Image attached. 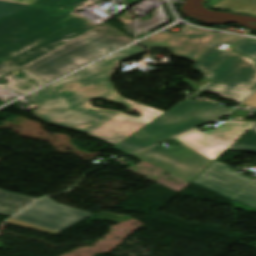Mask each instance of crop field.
<instances>
[{
    "instance_id": "24",
    "label": "crop field",
    "mask_w": 256,
    "mask_h": 256,
    "mask_svg": "<svg viewBox=\"0 0 256 256\" xmlns=\"http://www.w3.org/2000/svg\"><path fill=\"white\" fill-rule=\"evenodd\" d=\"M219 1H221V0H211L209 3H207L206 6H209V7H210V6L216 4V3L219 2Z\"/></svg>"
},
{
    "instance_id": "14",
    "label": "crop field",
    "mask_w": 256,
    "mask_h": 256,
    "mask_svg": "<svg viewBox=\"0 0 256 256\" xmlns=\"http://www.w3.org/2000/svg\"><path fill=\"white\" fill-rule=\"evenodd\" d=\"M229 149L256 153V125L247 134L236 141Z\"/></svg>"
},
{
    "instance_id": "23",
    "label": "crop field",
    "mask_w": 256,
    "mask_h": 256,
    "mask_svg": "<svg viewBox=\"0 0 256 256\" xmlns=\"http://www.w3.org/2000/svg\"><path fill=\"white\" fill-rule=\"evenodd\" d=\"M8 1L20 2V3H25V4L31 5V3H32L34 0H8Z\"/></svg>"
},
{
    "instance_id": "13",
    "label": "crop field",
    "mask_w": 256,
    "mask_h": 256,
    "mask_svg": "<svg viewBox=\"0 0 256 256\" xmlns=\"http://www.w3.org/2000/svg\"><path fill=\"white\" fill-rule=\"evenodd\" d=\"M212 7L256 15V0H223Z\"/></svg>"
},
{
    "instance_id": "11",
    "label": "crop field",
    "mask_w": 256,
    "mask_h": 256,
    "mask_svg": "<svg viewBox=\"0 0 256 256\" xmlns=\"http://www.w3.org/2000/svg\"><path fill=\"white\" fill-rule=\"evenodd\" d=\"M94 28L96 27L93 23L82 18L81 20L27 48L26 50L12 56L10 59L23 67L40 56L64 45L65 43Z\"/></svg>"
},
{
    "instance_id": "19",
    "label": "crop field",
    "mask_w": 256,
    "mask_h": 256,
    "mask_svg": "<svg viewBox=\"0 0 256 256\" xmlns=\"http://www.w3.org/2000/svg\"><path fill=\"white\" fill-rule=\"evenodd\" d=\"M21 68L15 62L0 53V76Z\"/></svg>"
},
{
    "instance_id": "7",
    "label": "crop field",
    "mask_w": 256,
    "mask_h": 256,
    "mask_svg": "<svg viewBox=\"0 0 256 256\" xmlns=\"http://www.w3.org/2000/svg\"><path fill=\"white\" fill-rule=\"evenodd\" d=\"M133 156L159 166L186 182L191 181L212 162L181 144L170 149L158 145Z\"/></svg>"
},
{
    "instance_id": "15",
    "label": "crop field",
    "mask_w": 256,
    "mask_h": 256,
    "mask_svg": "<svg viewBox=\"0 0 256 256\" xmlns=\"http://www.w3.org/2000/svg\"><path fill=\"white\" fill-rule=\"evenodd\" d=\"M236 52L256 59V41H245L238 43L236 45Z\"/></svg>"
},
{
    "instance_id": "9",
    "label": "crop field",
    "mask_w": 256,
    "mask_h": 256,
    "mask_svg": "<svg viewBox=\"0 0 256 256\" xmlns=\"http://www.w3.org/2000/svg\"><path fill=\"white\" fill-rule=\"evenodd\" d=\"M91 215L45 198L30 205L13 219L61 232Z\"/></svg>"
},
{
    "instance_id": "17",
    "label": "crop field",
    "mask_w": 256,
    "mask_h": 256,
    "mask_svg": "<svg viewBox=\"0 0 256 256\" xmlns=\"http://www.w3.org/2000/svg\"><path fill=\"white\" fill-rule=\"evenodd\" d=\"M0 199H4V200H8V201L26 205L29 202L33 201L35 198L22 196V195L14 194V193L7 192L4 190H0Z\"/></svg>"
},
{
    "instance_id": "6",
    "label": "crop field",
    "mask_w": 256,
    "mask_h": 256,
    "mask_svg": "<svg viewBox=\"0 0 256 256\" xmlns=\"http://www.w3.org/2000/svg\"><path fill=\"white\" fill-rule=\"evenodd\" d=\"M192 183L256 208V180L235 172L224 163L215 161Z\"/></svg>"
},
{
    "instance_id": "18",
    "label": "crop field",
    "mask_w": 256,
    "mask_h": 256,
    "mask_svg": "<svg viewBox=\"0 0 256 256\" xmlns=\"http://www.w3.org/2000/svg\"><path fill=\"white\" fill-rule=\"evenodd\" d=\"M23 207V205L0 200V215L9 217L21 210Z\"/></svg>"
},
{
    "instance_id": "3",
    "label": "crop field",
    "mask_w": 256,
    "mask_h": 256,
    "mask_svg": "<svg viewBox=\"0 0 256 256\" xmlns=\"http://www.w3.org/2000/svg\"><path fill=\"white\" fill-rule=\"evenodd\" d=\"M251 39L223 34L222 43L230 44L223 51L216 49L220 44V33H216L193 68L211 81L194 92L201 95L208 91L240 103L256 89V65L250 58L230 51L238 40Z\"/></svg>"
},
{
    "instance_id": "8",
    "label": "crop field",
    "mask_w": 256,
    "mask_h": 256,
    "mask_svg": "<svg viewBox=\"0 0 256 256\" xmlns=\"http://www.w3.org/2000/svg\"><path fill=\"white\" fill-rule=\"evenodd\" d=\"M255 124L243 121H225L219 125L221 127L217 130L210 129L207 133H203L200 130L205 128L195 129L173 139L213 161ZM227 125L230 127H226Z\"/></svg>"
},
{
    "instance_id": "1",
    "label": "crop field",
    "mask_w": 256,
    "mask_h": 256,
    "mask_svg": "<svg viewBox=\"0 0 256 256\" xmlns=\"http://www.w3.org/2000/svg\"><path fill=\"white\" fill-rule=\"evenodd\" d=\"M142 52L145 51L133 45L27 96L41 105L32 113L51 125L88 132L116 145L163 113L119 97L108 81L119 61ZM93 99H109L137 110L142 116L135 118L121 112L93 108L89 104Z\"/></svg>"
},
{
    "instance_id": "21",
    "label": "crop field",
    "mask_w": 256,
    "mask_h": 256,
    "mask_svg": "<svg viewBox=\"0 0 256 256\" xmlns=\"http://www.w3.org/2000/svg\"><path fill=\"white\" fill-rule=\"evenodd\" d=\"M209 81L210 80L203 77L198 83H195V82H192V81H189V80H183L181 82L186 83V84L192 86L195 89H198Z\"/></svg>"
},
{
    "instance_id": "10",
    "label": "crop field",
    "mask_w": 256,
    "mask_h": 256,
    "mask_svg": "<svg viewBox=\"0 0 256 256\" xmlns=\"http://www.w3.org/2000/svg\"><path fill=\"white\" fill-rule=\"evenodd\" d=\"M214 35V32L183 25L176 35L160 32L138 44L147 49L167 47L177 55L196 61Z\"/></svg>"
},
{
    "instance_id": "20",
    "label": "crop field",
    "mask_w": 256,
    "mask_h": 256,
    "mask_svg": "<svg viewBox=\"0 0 256 256\" xmlns=\"http://www.w3.org/2000/svg\"><path fill=\"white\" fill-rule=\"evenodd\" d=\"M6 224L25 227V228H29V229H33V230L53 234V235H56L58 233V232H55V231H52V230H48V229H45V228H42V227H38V226L31 225V224L23 223V222L16 221V220H13V219L9 220Z\"/></svg>"
},
{
    "instance_id": "5",
    "label": "crop field",
    "mask_w": 256,
    "mask_h": 256,
    "mask_svg": "<svg viewBox=\"0 0 256 256\" xmlns=\"http://www.w3.org/2000/svg\"><path fill=\"white\" fill-rule=\"evenodd\" d=\"M217 104L212 101L201 102L185 99L128 139H124L125 141L116 145L115 148L131 154L231 112V109Z\"/></svg>"
},
{
    "instance_id": "12",
    "label": "crop field",
    "mask_w": 256,
    "mask_h": 256,
    "mask_svg": "<svg viewBox=\"0 0 256 256\" xmlns=\"http://www.w3.org/2000/svg\"><path fill=\"white\" fill-rule=\"evenodd\" d=\"M2 77L10 81L7 85L8 88L21 94L46 83L23 68Z\"/></svg>"
},
{
    "instance_id": "4",
    "label": "crop field",
    "mask_w": 256,
    "mask_h": 256,
    "mask_svg": "<svg viewBox=\"0 0 256 256\" xmlns=\"http://www.w3.org/2000/svg\"><path fill=\"white\" fill-rule=\"evenodd\" d=\"M132 41L104 23L23 68L47 82Z\"/></svg>"
},
{
    "instance_id": "22",
    "label": "crop field",
    "mask_w": 256,
    "mask_h": 256,
    "mask_svg": "<svg viewBox=\"0 0 256 256\" xmlns=\"http://www.w3.org/2000/svg\"><path fill=\"white\" fill-rule=\"evenodd\" d=\"M244 104L256 107V92L250 97L248 98Z\"/></svg>"
},
{
    "instance_id": "16",
    "label": "crop field",
    "mask_w": 256,
    "mask_h": 256,
    "mask_svg": "<svg viewBox=\"0 0 256 256\" xmlns=\"http://www.w3.org/2000/svg\"><path fill=\"white\" fill-rule=\"evenodd\" d=\"M28 5L0 0V18L16 12Z\"/></svg>"
},
{
    "instance_id": "2",
    "label": "crop field",
    "mask_w": 256,
    "mask_h": 256,
    "mask_svg": "<svg viewBox=\"0 0 256 256\" xmlns=\"http://www.w3.org/2000/svg\"><path fill=\"white\" fill-rule=\"evenodd\" d=\"M98 0H35L0 19V52L7 57L81 19L74 12Z\"/></svg>"
}]
</instances>
